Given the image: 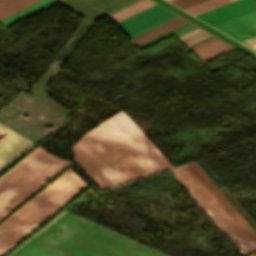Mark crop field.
Listing matches in <instances>:
<instances>
[{"mask_svg": "<svg viewBox=\"0 0 256 256\" xmlns=\"http://www.w3.org/2000/svg\"><path fill=\"white\" fill-rule=\"evenodd\" d=\"M70 164L38 148L13 167L0 178V219ZM87 188L67 170L0 224V256Z\"/></svg>", "mask_w": 256, "mask_h": 256, "instance_id": "1", "label": "crop field"}, {"mask_svg": "<svg viewBox=\"0 0 256 256\" xmlns=\"http://www.w3.org/2000/svg\"><path fill=\"white\" fill-rule=\"evenodd\" d=\"M74 163L101 190L174 166L122 112L71 146Z\"/></svg>", "mask_w": 256, "mask_h": 256, "instance_id": "2", "label": "crop field"}, {"mask_svg": "<svg viewBox=\"0 0 256 256\" xmlns=\"http://www.w3.org/2000/svg\"><path fill=\"white\" fill-rule=\"evenodd\" d=\"M45 229L105 256H166L68 211ZM45 229L11 256H103Z\"/></svg>", "mask_w": 256, "mask_h": 256, "instance_id": "3", "label": "crop field"}, {"mask_svg": "<svg viewBox=\"0 0 256 256\" xmlns=\"http://www.w3.org/2000/svg\"><path fill=\"white\" fill-rule=\"evenodd\" d=\"M186 167L256 248V233L209 179L204 171L198 166V164L194 162L186 165ZM186 167L181 166L176 169H172L171 171L242 254L255 250L253 245L247 240V238L241 233V231L235 226V224L229 219V217L223 212V210L217 205V203L211 198V196L205 191Z\"/></svg>", "mask_w": 256, "mask_h": 256, "instance_id": "4", "label": "crop field"}, {"mask_svg": "<svg viewBox=\"0 0 256 256\" xmlns=\"http://www.w3.org/2000/svg\"><path fill=\"white\" fill-rule=\"evenodd\" d=\"M175 17L173 13L155 4L117 24L133 38Z\"/></svg>", "mask_w": 256, "mask_h": 256, "instance_id": "5", "label": "crop field"}, {"mask_svg": "<svg viewBox=\"0 0 256 256\" xmlns=\"http://www.w3.org/2000/svg\"><path fill=\"white\" fill-rule=\"evenodd\" d=\"M73 11L96 20L138 0H57ZM105 17V16H104ZM90 20V21H91Z\"/></svg>", "mask_w": 256, "mask_h": 256, "instance_id": "6", "label": "crop field"}, {"mask_svg": "<svg viewBox=\"0 0 256 256\" xmlns=\"http://www.w3.org/2000/svg\"><path fill=\"white\" fill-rule=\"evenodd\" d=\"M0 173L29 151L33 145L14 131L0 125Z\"/></svg>", "mask_w": 256, "mask_h": 256, "instance_id": "7", "label": "crop field"}, {"mask_svg": "<svg viewBox=\"0 0 256 256\" xmlns=\"http://www.w3.org/2000/svg\"><path fill=\"white\" fill-rule=\"evenodd\" d=\"M214 27L238 41L254 36L256 35V11ZM240 42L256 51V36Z\"/></svg>", "mask_w": 256, "mask_h": 256, "instance_id": "8", "label": "crop field"}, {"mask_svg": "<svg viewBox=\"0 0 256 256\" xmlns=\"http://www.w3.org/2000/svg\"><path fill=\"white\" fill-rule=\"evenodd\" d=\"M254 10H256V0H238L196 17L214 26Z\"/></svg>", "mask_w": 256, "mask_h": 256, "instance_id": "9", "label": "crop field"}, {"mask_svg": "<svg viewBox=\"0 0 256 256\" xmlns=\"http://www.w3.org/2000/svg\"><path fill=\"white\" fill-rule=\"evenodd\" d=\"M155 2L163 5L164 7L170 9L171 11L177 13L178 15L186 18L187 20L193 22L194 24L200 26L201 28L207 30L208 32L214 34L215 36L221 38L222 40L228 42L229 44L235 46L236 48L242 50L243 52L249 54L250 56L256 58V53H254L253 51L247 49L246 47L240 45L239 43L235 42L234 40L228 38L227 36L221 34L220 32L214 30L213 28L207 26L206 24L202 23L201 21L195 19L194 17L188 15L187 13L181 11L180 9L174 7L173 5L169 4L168 2L164 1V0H154Z\"/></svg>", "mask_w": 256, "mask_h": 256, "instance_id": "10", "label": "crop field"}, {"mask_svg": "<svg viewBox=\"0 0 256 256\" xmlns=\"http://www.w3.org/2000/svg\"><path fill=\"white\" fill-rule=\"evenodd\" d=\"M224 45H226V44L223 43L222 41L216 39V40H214V41H212L210 43H207V44H205V45H203L201 47H198V48L192 50V52L198 58H200V57H202V56H204V55H206V54H208V53H210V52H212V51H214V50H216V49H218V48H220V47H222ZM233 49L234 48L226 45V46H224V47H222V48H220V49H218V50H216V51H214V52H212V53H210V54H208V55H206V56H204V57H202L200 59L204 63H206V62H208V61H210L212 59H215V58H217V57H219V56H221V55H223V54H225V53H227V52H229V51H231Z\"/></svg>", "mask_w": 256, "mask_h": 256, "instance_id": "11", "label": "crop field"}, {"mask_svg": "<svg viewBox=\"0 0 256 256\" xmlns=\"http://www.w3.org/2000/svg\"><path fill=\"white\" fill-rule=\"evenodd\" d=\"M54 3H56V2L53 1V0H41V1L29 6L27 8H25V9L15 13V14L1 20L0 22L3 25H5L6 27H8V26H10V25H12V24H14V23L32 15V14L36 13V12L54 4Z\"/></svg>", "mask_w": 256, "mask_h": 256, "instance_id": "12", "label": "crop field"}, {"mask_svg": "<svg viewBox=\"0 0 256 256\" xmlns=\"http://www.w3.org/2000/svg\"><path fill=\"white\" fill-rule=\"evenodd\" d=\"M39 0H0V20Z\"/></svg>", "mask_w": 256, "mask_h": 256, "instance_id": "13", "label": "crop field"}, {"mask_svg": "<svg viewBox=\"0 0 256 256\" xmlns=\"http://www.w3.org/2000/svg\"><path fill=\"white\" fill-rule=\"evenodd\" d=\"M185 22H187V21L177 17V18H175V19H173V20H171V21H169V22H167V23H165V24H163V25H161V26H159V27H157V28H155V29L137 37V38H135V39H133V41L137 45H139V44H141V43H143V42H145V41H147V40H149L153 37H156V36L166 32L170 29H173V28H175V27H177V26H179V25H181Z\"/></svg>", "mask_w": 256, "mask_h": 256, "instance_id": "14", "label": "crop field"}, {"mask_svg": "<svg viewBox=\"0 0 256 256\" xmlns=\"http://www.w3.org/2000/svg\"><path fill=\"white\" fill-rule=\"evenodd\" d=\"M155 3L149 1V0H141L111 16H109L110 19H112L115 23L153 5Z\"/></svg>", "mask_w": 256, "mask_h": 256, "instance_id": "15", "label": "crop field"}, {"mask_svg": "<svg viewBox=\"0 0 256 256\" xmlns=\"http://www.w3.org/2000/svg\"><path fill=\"white\" fill-rule=\"evenodd\" d=\"M233 1L235 0H208L192 7L186 8L184 10L196 16L198 14L204 13L206 11L212 10Z\"/></svg>", "mask_w": 256, "mask_h": 256, "instance_id": "16", "label": "crop field"}, {"mask_svg": "<svg viewBox=\"0 0 256 256\" xmlns=\"http://www.w3.org/2000/svg\"><path fill=\"white\" fill-rule=\"evenodd\" d=\"M205 0H172L171 3L175 4L176 6L184 9L186 7L192 6L194 4L200 3Z\"/></svg>", "mask_w": 256, "mask_h": 256, "instance_id": "17", "label": "crop field"}, {"mask_svg": "<svg viewBox=\"0 0 256 256\" xmlns=\"http://www.w3.org/2000/svg\"><path fill=\"white\" fill-rule=\"evenodd\" d=\"M209 36H211V35L205 33V34H203V35H201V36H199L197 38H194V39L184 43V45H186L187 47L191 46V45H193V44H195V43H197V42H199V41H201V40H203V39H205V38H207Z\"/></svg>", "mask_w": 256, "mask_h": 256, "instance_id": "18", "label": "crop field"}, {"mask_svg": "<svg viewBox=\"0 0 256 256\" xmlns=\"http://www.w3.org/2000/svg\"><path fill=\"white\" fill-rule=\"evenodd\" d=\"M214 39H216V38L213 37V38H211V39H209V40H207V41H205V42H203V43H200V44H198V45H196V46L190 48V50H192V49H194V48H196V47H198V46H201V45H203V44H205V43H207V42H210V41H212V40H214Z\"/></svg>", "mask_w": 256, "mask_h": 256, "instance_id": "19", "label": "crop field"}, {"mask_svg": "<svg viewBox=\"0 0 256 256\" xmlns=\"http://www.w3.org/2000/svg\"><path fill=\"white\" fill-rule=\"evenodd\" d=\"M168 1H170V0H168Z\"/></svg>", "mask_w": 256, "mask_h": 256, "instance_id": "20", "label": "crop field"}]
</instances>
